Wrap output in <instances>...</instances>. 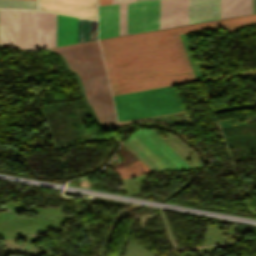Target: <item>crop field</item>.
Instances as JSON below:
<instances>
[{
  "label": "crop field",
  "mask_w": 256,
  "mask_h": 256,
  "mask_svg": "<svg viewBox=\"0 0 256 256\" xmlns=\"http://www.w3.org/2000/svg\"><path fill=\"white\" fill-rule=\"evenodd\" d=\"M251 13V0H221L220 19Z\"/></svg>",
  "instance_id": "28ad6ade"
},
{
  "label": "crop field",
  "mask_w": 256,
  "mask_h": 256,
  "mask_svg": "<svg viewBox=\"0 0 256 256\" xmlns=\"http://www.w3.org/2000/svg\"><path fill=\"white\" fill-rule=\"evenodd\" d=\"M111 4V0H99V5Z\"/></svg>",
  "instance_id": "4a817a6b"
},
{
  "label": "crop field",
  "mask_w": 256,
  "mask_h": 256,
  "mask_svg": "<svg viewBox=\"0 0 256 256\" xmlns=\"http://www.w3.org/2000/svg\"><path fill=\"white\" fill-rule=\"evenodd\" d=\"M137 1H140V0H137Z\"/></svg>",
  "instance_id": "dafd665d"
},
{
  "label": "crop field",
  "mask_w": 256,
  "mask_h": 256,
  "mask_svg": "<svg viewBox=\"0 0 256 256\" xmlns=\"http://www.w3.org/2000/svg\"><path fill=\"white\" fill-rule=\"evenodd\" d=\"M253 13H256V0H253Z\"/></svg>",
  "instance_id": "bc2a9ffb"
},
{
  "label": "crop field",
  "mask_w": 256,
  "mask_h": 256,
  "mask_svg": "<svg viewBox=\"0 0 256 256\" xmlns=\"http://www.w3.org/2000/svg\"><path fill=\"white\" fill-rule=\"evenodd\" d=\"M119 4L99 7L98 38L118 35Z\"/></svg>",
  "instance_id": "5a996713"
},
{
  "label": "crop field",
  "mask_w": 256,
  "mask_h": 256,
  "mask_svg": "<svg viewBox=\"0 0 256 256\" xmlns=\"http://www.w3.org/2000/svg\"><path fill=\"white\" fill-rule=\"evenodd\" d=\"M39 10L97 19V0H39Z\"/></svg>",
  "instance_id": "dd49c442"
},
{
  "label": "crop field",
  "mask_w": 256,
  "mask_h": 256,
  "mask_svg": "<svg viewBox=\"0 0 256 256\" xmlns=\"http://www.w3.org/2000/svg\"><path fill=\"white\" fill-rule=\"evenodd\" d=\"M56 14L20 10L19 48L55 46Z\"/></svg>",
  "instance_id": "412701ff"
},
{
  "label": "crop field",
  "mask_w": 256,
  "mask_h": 256,
  "mask_svg": "<svg viewBox=\"0 0 256 256\" xmlns=\"http://www.w3.org/2000/svg\"><path fill=\"white\" fill-rule=\"evenodd\" d=\"M0 7L37 9V0H0Z\"/></svg>",
  "instance_id": "d9b57169"
},
{
  "label": "crop field",
  "mask_w": 256,
  "mask_h": 256,
  "mask_svg": "<svg viewBox=\"0 0 256 256\" xmlns=\"http://www.w3.org/2000/svg\"><path fill=\"white\" fill-rule=\"evenodd\" d=\"M160 0L128 3L127 34L159 29Z\"/></svg>",
  "instance_id": "f4fd0767"
},
{
  "label": "crop field",
  "mask_w": 256,
  "mask_h": 256,
  "mask_svg": "<svg viewBox=\"0 0 256 256\" xmlns=\"http://www.w3.org/2000/svg\"><path fill=\"white\" fill-rule=\"evenodd\" d=\"M113 98L118 122L185 111L173 86Z\"/></svg>",
  "instance_id": "34b2d1b8"
},
{
  "label": "crop field",
  "mask_w": 256,
  "mask_h": 256,
  "mask_svg": "<svg viewBox=\"0 0 256 256\" xmlns=\"http://www.w3.org/2000/svg\"><path fill=\"white\" fill-rule=\"evenodd\" d=\"M114 171L122 178L136 176L144 173L151 172L140 161L114 169Z\"/></svg>",
  "instance_id": "22f410ed"
},
{
  "label": "crop field",
  "mask_w": 256,
  "mask_h": 256,
  "mask_svg": "<svg viewBox=\"0 0 256 256\" xmlns=\"http://www.w3.org/2000/svg\"><path fill=\"white\" fill-rule=\"evenodd\" d=\"M119 2H121V0H112V4L119 3Z\"/></svg>",
  "instance_id": "214f88e0"
},
{
  "label": "crop field",
  "mask_w": 256,
  "mask_h": 256,
  "mask_svg": "<svg viewBox=\"0 0 256 256\" xmlns=\"http://www.w3.org/2000/svg\"><path fill=\"white\" fill-rule=\"evenodd\" d=\"M77 43V18L57 14L56 46Z\"/></svg>",
  "instance_id": "3316defc"
},
{
  "label": "crop field",
  "mask_w": 256,
  "mask_h": 256,
  "mask_svg": "<svg viewBox=\"0 0 256 256\" xmlns=\"http://www.w3.org/2000/svg\"><path fill=\"white\" fill-rule=\"evenodd\" d=\"M19 10L0 9V47H18Z\"/></svg>",
  "instance_id": "e52e79f7"
},
{
  "label": "crop field",
  "mask_w": 256,
  "mask_h": 256,
  "mask_svg": "<svg viewBox=\"0 0 256 256\" xmlns=\"http://www.w3.org/2000/svg\"><path fill=\"white\" fill-rule=\"evenodd\" d=\"M173 26V0H161L160 29Z\"/></svg>",
  "instance_id": "5142ce71"
},
{
  "label": "crop field",
  "mask_w": 256,
  "mask_h": 256,
  "mask_svg": "<svg viewBox=\"0 0 256 256\" xmlns=\"http://www.w3.org/2000/svg\"><path fill=\"white\" fill-rule=\"evenodd\" d=\"M188 24V0H174V26Z\"/></svg>",
  "instance_id": "cbeb9de0"
},
{
  "label": "crop field",
  "mask_w": 256,
  "mask_h": 256,
  "mask_svg": "<svg viewBox=\"0 0 256 256\" xmlns=\"http://www.w3.org/2000/svg\"><path fill=\"white\" fill-rule=\"evenodd\" d=\"M256 24V14L172 29L102 39L112 94L196 80L178 34Z\"/></svg>",
  "instance_id": "8a807250"
},
{
  "label": "crop field",
  "mask_w": 256,
  "mask_h": 256,
  "mask_svg": "<svg viewBox=\"0 0 256 256\" xmlns=\"http://www.w3.org/2000/svg\"><path fill=\"white\" fill-rule=\"evenodd\" d=\"M52 50L66 59L68 68L77 73L88 100L101 124L116 125L111 92L97 41L74 44Z\"/></svg>",
  "instance_id": "ac0d7876"
},
{
  "label": "crop field",
  "mask_w": 256,
  "mask_h": 256,
  "mask_svg": "<svg viewBox=\"0 0 256 256\" xmlns=\"http://www.w3.org/2000/svg\"><path fill=\"white\" fill-rule=\"evenodd\" d=\"M129 1H136V0H122V2H129Z\"/></svg>",
  "instance_id": "92a150f3"
},
{
  "label": "crop field",
  "mask_w": 256,
  "mask_h": 256,
  "mask_svg": "<svg viewBox=\"0 0 256 256\" xmlns=\"http://www.w3.org/2000/svg\"><path fill=\"white\" fill-rule=\"evenodd\" d=\"M127 3L120 4L119 35L126 34Z\"/></svg>",
  "instance_id": "733c2abd"
},
{
  "label": "crop field",
  "mask_w": 256,
  "mask_h": 256,
  "mask_svg": "<svg viewBox=\"0 0 256 256\" xmlns=\"http://www.w3.org/2000/svg\"><path fill=\"white\" fill-rule=\"evenodd\" d=\"M220 0H189V24L219 19Z\"/></svg>",
  "instance_id": "d8731c3e"
},
{
  "label": "crop field",
  "mask_w": 256,
  "mask_h": 256,
  "mask_svg": "<svg viewBox=\"0 0 256 256\" xmlns=\"http://www.w3.org/2000/svg\"><path fill=\"white\" fill-rule=\"evenodd\" d=\"M97 21L78 18V42L96 39Z\"/></svg>",
  "instance_id": "d1516ede"
}]
</instances>
